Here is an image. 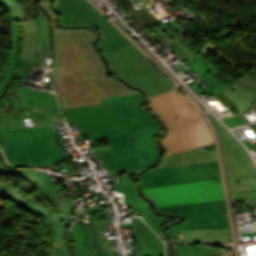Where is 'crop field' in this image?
I'll return each instance as SVG.
<instances>
[{
	"label": "crop field",
	"mask_w": 256,
	"mask_h": 256,
	"mask_svg": "<svg viewBox=\"0 0 256 256\" xmlns=\"http://www.w3.org/2000/svg\"><path fill=\"white\" fill-rule=\"evenodd\" d=\"M143 192L157 207L225 199L222 184L213 180L143 189Z\"/></svg>",
	"instance_id": "obj_10"
},
{
	"label": "crop field",
	"mask_w": 256,
	"mask_h": 256,
	"mask_svg": "<svg viewBox=\"0 0 256 256\" xmlns=\"http://www.w3.org/2000/svg\"><path fill=\"white\" fill-rule=\"evenodd\" d=\"M223 95L227 97L240 112H242L254 102L256 91L236 81L223 93Z\"/></svg>",
	"instance_id": "obj_19"
},
{
	"label": "crop field",
	"mask_w": 256,
	"mask_h": 256,
	"mask_svg": "<svg viewBox=\"0 0 256 256\" xmlns=\"http://www.w3.org/2000/svg\"><path fill=\"white\" fill-rule=\"evenodd\" d=\"M163 213L186 216V221L167 230L230 229L225 200L157 208Z\"/></svg>",
	"instance_id": "obj_11"
},
{
	"label": "crop field",
	"mask_w": 256,
	"mask_h": 256,
	"mask_svg": "<svg viewBox=\"0 0 256 256\" xmlns=\"http://www.w3.org/2000/svg\"><path fill=\"white\" fill-rule=\"evenodd\" d=\"M211 248V254L212 256L219 254V255H226V256H235L234 251L216 247V246H210Z\"/></svg>",
	"instance_id": "obj_30"
},
{
	"label": "crop field",
	"mask_w": 256,
	"mask_h": 256,
	"mask_svg": "<svg viewBox=\"0 0 256 256\" xmlns=\"http://www.w3.org/2000/svg\"><path fill=\"white\" fill-rule=\"evenodd\" d=\"M8 190H11V193H8ZM0 194L9 195L14 201L17 207H29L32 210L40 213L43 216L48 217V212L45 210L43 206L37 205L29 195L26 193L21 196L15 189L10 186L0 183ZM47 220H49L47 218Z\"/></svg>",
	"instance_id": "obj_22"
},
{
	"label": "crop field",
	"mask_w": 256,
	"mask_h": 256,
	"mask_svg": "<svg viewBox=\"0 0 256 256\" xmlns=\"http://www.w3.org/2000/svg\"><path fill=\"white\" fill-rule=\"evenodd\" d=\"M86 249H102L95 224L82 227Z\"/></svg>",
	"instance_id": "obj_26"
},
{
	"label": "crop field",
	"mask_w": 256,
	"mask_h": 256,
	"mask_svg": "<svg viewBox=\"0 0 256 256\" xmlns=\"http://www.w3.org/2000/svg\"><path fill=\"white\" fill-rule=\"evenodd\" d=\"M18 130H19V128L16 123L15 117L6 113V110L3 115V113L0 109V135L11 133V132H16Z\"/></svg>",
	"instance_id": "obj_28"
},
{
	"label": "crop field",
	"mask_w": 256,
	"mask_h": 256,
	"mask_svg": "<svg viewBox=\"0 0 256 256\" xmlns=\"http://www.w3.org/2000/svg\"><path fill=\"white\" fill-rule=\"evenodd\" d=\"M254 129L256 130V124L252 125ZM245 144L248 146L249 149H254L256 148V144L251 145L249 142H245Z\"/></svg>",
	"instance_id": "obj_33"
},
{
	"label": "crop field",
	"mask_w": 256,
	"mask_h": 256,
	"mask_svg": "<svg viewBox=\"0 0 256 256\" xmlns=\"http://www.w3.org/2000/svg\"><path fill=\"white\" fill-rule=\"evenodd\" d=\"M232 203L256 206V170L237 143L222 149Z\"/></svg>",
	"instance_id": "obj_9"
},
{
	"label": "crop field",
	"mask_w": 256,
	"mask_h": 256,
	"mask_svg": "<svg viewBox=\"0 0 256 256\" xmlns=\"http://www.w3.org/2000/svg\"><path fill=\"white\" fill-rule=\"evenodd\" d=\"M21 109H30L34 125L55 124L51 107H59L55 95L20 87Z\"/></svg>",
	"instance_id": "obj_14"
},
{
	"label": "crop field",
	"mask_w": 256,
	"mask_h": 256,
	"mask_svg": "<svg viewBox=\"0 0 256 256\" xmlns=\"http://www.w3.org/2000/svg\"><path fill=\"white\" fill-rule=\"evenodd\" d=\"M99 256H108L107 249L99 250Z\"/></svg>",
	"instance_id": "obj_34"
},
{
	"label": "crop field",
	"mask_w": 256,
	"mask_h": 256,
	"mask_svg": "<svg viewBox=\"0 0 256 256\" xmlns=\"http://www.w3.org/2000/svg\"><path fill=\"white\" fill-rule=\"evenodd\" d=\"M151 108L168 127L160 141L164 157L214 143L212 133L200 111L176 89L149 97Z\"/></svg>",
	"instance_id": "obj_2"
},
{
	"label": "crop field",
	"mask_w": 256,
	"mask_h": 256,
	"mask_svg": "<svg viewBox=\"0 0 256 256\" xmlns=\"http://www.w3.org/2000/svg\"><path fill=\"white\" fill-rule=\"evenodd\" d=\"M0 5L6 7L11 16L20 20L23 26L22 43H20V55L15 74V76L21 77L19 82V86H21L31 65L42 66L44 54H50L49 27L42 16L33 15L32 7L26 0H0Z\"/></svg>",
	"instance_id": "obj_6"
},
{
	"label": "crop field",
	"mask_w": 256,
	"mask_h": 256,
	"mask_svg": "<svg viewBox=\"0 0 256 256\" xmlns=\"http://www.w3.org/2000/svg\"><path fill=\"white\" fill-rule=\"evenodd\" d=\"M207 179L221 182L218 162L145 172L139 176L142 189Z\"/></svg>",
	"instance_id": "obj_13"
},
{
	"label": "crop field",
	"mask_w": 256,
	"mask_h": 256,
	"mask_svg": "<svg viewBox=\"0 0 256 256\" xmlns=\"http://www.w3.org/2000/svg\"><path fill=\"white\" fill-rule=\"evenodd\" d=\"M103 104L63 109L68 123H80L82 133L90 139L106 138L105 134L145 124L146 117L122 120L117 106L143 103L142 94L102 98ZM78 121V122H77Z\"/></svg>",
	"instance_id": "obj_3"
},
{
	"label": "crop field",
	"mask_w": 256,
	"mask_h": 256,
	"mask_svg": "<svg viewBox=\"0 0 256 256\" xmlns=\"http://www.w3.org/2000/svg\"><path fill=\"white\" fill-rule=\"evenodd\" d=\"M8 168H6L5 170H7ZM5 170H3L2 167H0V173H3Z\"/></svg>",
	"instance_id": "obj_36"
},
{
	"label": "crop field",
	"mask_w": 256,
	"mask_h": 256,
	"mask_svg": "<svg viewBox=\"0 0 256 256\" xmlns=\"http://www.w3.org/2000/svg\"><path fill=\"white\" fill-rule=\"evenodd\" d=\"M2 148L12 166L54 165L63 162L65 155L56 144L52 126L26 128L0 136Z\"/></svg>",
	"instance_id": "obj_4"
},
{
	"label": "crop field",
	"mask_w": 256,
	"mask_h": 256,
	"mask_svg": "<svg viewBox=\"0 0 256 256\" xmlns=\"http://www.w3.org/2000/svg\"><path fill=\"white\" fill-rule=\"evenodd\" d=\"M184 233L187 242H233L231 230H189Z\"/></svg>",
	"instance_id": "obj_21"
},
{
	"label": "crop field",
	"mask_w": 256,
	"mask_h": 256,
	"mask_svg": "<svg viewBox=\"0 0 256 256\" xmlns=\"http://www.w3.org/2000/svg\"><path fill=\"white\" fill-rule=\"evenodd\" d=\"M112 74L121 76L133 86L145 88L147 97L176 86L134 45L105 55Z\"/></svg>",
	"instance_id": "obj_7"
},
{
	"label": "crop field",
	"mask_w": 256,
	"mask_h": 256,
	"mask_svg": "<svg viewBox=\"0 0 256 256\" xmlns=\"http://www.w3.org/2000/svg\"><path fill=\"white\" fill-rule=\"evenodd\" d=\"M49 3L47 0L38 6L52 24L55 90L62 108L98 104L107 96L141 93L107 76L99 53L91 46L96 33L56 28V14Z\"/></svg>",
	"instance_id": "obj_1"
},
{
	"label": "crop field",
	"mask_w": 256,
	"mask_h": 256,
	"mask_svg": "<svg viewBox=\"0 0 256 256\" xmlns=\"http://www.w3.org/2000/svg\"><path fill=\"white\" fill-rule=\"evenodd\" d=\"M237 81L256 90V82L255 81L248 80L244 77L239 78Z\"/></svg>",
	"instance_id": "obj_31"
},
{
	"label": "crop field",
	"mask_w": 256,
	"mask_h": 256,
	"mask_svg": "<svg viewBox=\"0 0 256 256\" xmlns=\"http://www.w3.org/2000/svg\"><path fill=\"white\" fill-rule=\"evenodd\" d=\"M215 161H218L216 150L209 152L203 148H199L165 157L157 167L151 168L148 171Z\"/></svg>",
	"instance_id": "obj_17"
},
{
	"label": "crop field",
	"mask_w": 256,
	"mask_h": 256,
	"mask_svg": "<svg viewBox=\"0 0 256 256\" xmlns=\"http://www.w3.org/2000/svg\"><path fill=\"white\" fill-rule=\"evenodd\" d=\"M20 177H24L27 181L37 185L38 198L43 201L45 208L52 216L54 224V239L58 240L65 232L64 214L70 213V206L55 186V184L48 178V176L35 169L22 168Z\"/></svg>",
	"instance_id": "obj_12"
},
{
	"label": "crop field",
	"mask_w": 256,
	"mask_h": 256,
	"mask_svg": "<svg viewBox=\"0 0 256 256\" xmlns=\"http://www.w3.org/2000/svg\"><path fill=\"white\" fill-rule=\"evenodd\" d=\"M162 39L158 40L168 46L174 44L179 49L176 50L182 57L187 58L193 54H196L191 45L183 37L187 32L175 21L159 24L150 28ZM161 43V44H162Z\"/></svg>",
	"instance_id": "obj_16"
},
{
	"label": "crop field",
	"mask_w": 256,
	"mask_h": 256,
	"mask_svg": "<svg viewBox=\"0 0 256 256\" xmlns=\"http://www.w3.org/2000/svg\"><path fill=\"white\" fill-rule=\"evenodd\" d=\"M72 234L76 251H69L70 256H98V250H85L82 229L77 222L72 227Z\"/></svg>",
	"instance_id": "obj_23"
},
{
	"label": "crop field",
	"mask_w": 256,
	"mask_h": 256,
	"mask_svg": "<svg viewBox=\"0 0 256 256\" xmlns=\"http://www.w3.org/2000/svg\"><path fill=\"white\" fill-rule=\"evenodd\" d=\"M97 155L102 159L105 168H110V170L116 169L118 171L127 168H136V157L113 161L111 152Z\"/></svg>",
	"instance_id": "obj_24"
},
{
	"label": "crop field",
	"mask_w": 256,
	"mask_h": 256,
	"mask_svg": "<svg viewBox=\"0 0 256 256\" xmlns=\"http://www.w3.org/2000/svg\"><path fill=\"white\" fill-rule=\"evenodd\" d=\"M12 19H13L12 31H13V38H14L13 52L9 57V59L7 60L3 70L0 73V98L3 95V91H5V89L7 88L9 82L11 81L15 73V69L17 66V58L19 55V43H18V37H17L18 27L15 19L14 18Z\"/></svg>",
	"instance_id": "obj_20"
},
{
	"label": "crop field",
	"mask_w": 256,
	"mask_h": 256,
	"mask_svg": "<svg viewBox=\"0 0 256 256\" xmlns=\"http://www.w3.org/2000/svg\"><path fill=\"white\" fill-rule=\"evenodd\" d=\"M114 190H119L121 194H125V202L127 203L128 208L132 209V207H140L143 218L159 237L163 236L161 229L164 225L178 219L176 217L173 219H168L152 214L151 210L149 209V202L138 195L136 183L115 187Z\"/></svg>",
	"instance_id": "obj_15"
},
{
	"label": "crop field",
	"mask_w": 256,
	"mask_h": 256,
	"mask_svg": "<svg viewBox=\"0 0 256 256\" xmlns=\"http://www.w3.org/2000/svg\"><path fill=\"white\" fill-rule=\"evenodd\" d=\"M118 108L123 119L148 114L141 104ZM161 132L159 122L148 114L145 126L107 135L114 160L137 156V168L128 176L154 164L160 151L154 139Z\"/></svg>",
	"instance_id": "obj_5"
},
{
	"label": "crop field",
	"mask_w": 256,
	"mask_h": 256,
	"mask_svg": "<svg viewBox=\"0 0 256 256\" xmlns=\"http://www.w3.org/2000/svg\"><path fill=\"white\" fill-rule=\"evenodd\" d=\"M252 108H256V101L254 102V104L249 108L247 109L246 111L244 112H247L249 111L250 109ZM242 112V113H244ZM241 114H238V115H235L233 117H227V118H223L222 120L230 127V128H234V127H237L239 125H242V124H245V123H248L247 119Z\"/></svg>",
	"instance_id": "obj_29"
},
{
	"label": "crop field",
	"mask_w": 256,
	"mask_h": 256,
	"mask_svg": "<svg viewBox=\"0 0 256 256\" xmlns=\"http://www.w3.org/2000/svg\"><path fill=\"white\" fill-rule=\"evenodd\" d=\"M218 135L221 147H226L237 143V141L226 131V129L210 114L208 113Z\"/></svg>",
	"instance_id": "obj_27"
},
{
	"label": "crop field",
	"mask_w": 256,
	"mask_h": 256,
	"mask_svg": "<svg viewBox=\"0 0 256 256\" xmlns=\"http://www.w3.org/2000/svg\"><path fill=\"white\" fill-rule=\"evenodd\" d=\"M120 227H132L141 248L136 250V256H164L163 243L145 223L120 224Z\"/></svg>",
	"instance_id": "obj_18"
},
{
	"label": "crop field",
	"mask_w": 256,
	"mask_h": 256,
	"mask_svg": "<svg viewBox=\"0 0 256 256\" xmlns=\"http://www.w3.org/2000/svg\"><path fill=\"white\" fill-rule=\"evenodd\" d=\"M20 169H12V168H9L6 172H4L3 174L5 175H14V176H18L19 177V174H20Z\"/></svg>",
	"instance_id": "obj_32"
},
{
	"label": "crop field",
	"mask_w": 256,
	"mask_h": 256,
	"mask_svg": "<svg viewBox=\"0 0 256 256\" xmlns=\"http://www.w3.org/2000/svg\"><path fill=\"white\" fill-rule=\"evenodd\" d=\"M176 248V256H211L210 248L206 245H186Z\"/></svg>",
	"instance_id": "obj_25"
},
{
	"label": "crop field",
	"mask_w": 256,
	"mask_h": 256,
	"mask_svg": "<svg viewBox=\"0 0 256 256\" xmlns=\"http://www.w3.org/2000/svg\"><path fill=\"white\" fill-rule=\"evenodd\" d=\"M37 1H44V0H37Z\"/></svg>",
	"instance_id": "obj_37"
},
{
	"label": "crop field",
	"mask_w": 256,
	"mask_h": 256,
	"mask_svg": "<svg viewBox=\"0 0 256 256\" xmlns=\"http://www.w3.org/2000/svg\"><path fill=\"white\" fill-rule=\"evenodd\" d=\"M3 208V201L0 200V210Z\"/></svg>",
	"instance_id": "obj_35"
},
{
	"label": "crop field",
	"mask_w": 256,
	"mask_h": 256,
	"mask_svg": "<svg viewBox=\"0 0 256 256\" xmlns=\"http://www.w3.org/2000/svg\"><path fill=\"white\" fill-rule=\"evenodd\" d=\"M55 7L61 13L59 24L70 26L85 24L101 31L104 37L97 44L104 54L124 46L132 45L87 0H58Z\"/></svg>",
	"instance_id": "obj_8"
}]
</instances>
